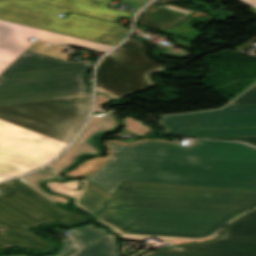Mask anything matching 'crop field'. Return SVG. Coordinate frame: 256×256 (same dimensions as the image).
<instances>
[{"instance_id":"d9b57169","label":"crop field","mask_w":256,"mask_h":256,"mask_svg":"<svg viewBox=\"0 0 256 256\" xmlns=\"http://www.w3.org/2000/svg\"><path fill=\"white\" fill-rule=\"evenodd\" d=\"M193 20L194 19L189 18L183 25L161 32L194 42L196 38L203 33L192 28L191 23Z\"/></svg>"},{"instance_id":"730fd06b","label":"crop field","mask_w":256,"mask_h":256,"mask_svg":"<svg viewBox=\"0 0 256 256\" xmlns=\"http://www.w3.org/2000/svg\"><path fill=\"white\" fill-rule=\"evenodd\" d=\"M212 238H208V239H204V240H200V241H174L172 242L173 244L177 245V244H180V243H190V242H205L207 240H210Z\"/></svg>"},{"instance_id":"cbeb9de0","label":"crop field","mask_w":256,"mask_h":256,"mask_svg":"<svg viewBox=\"0 0 256 256\" xmlns=\"http://www.w3.org/2000/svg\"><path fill=\"white\" fill-rule=\"evenodd\" d=\"M114 236L108 234L74 256H119Z\"/></svg>"},{"instance_id":"00972430","label":"crop field","mask_w":256,"mask_h":256,"mask_svg":"<svg viewBox=\"0 0 256 256\" xmlns=\"http://www.w3.org/2000/svg\"><path fill=\"white\" fill-rule=\"evenodd\" d=\"M62 186L65 188V189H69V190H75L78 188V183L77 181H74V182H67V183H61Z\"/></svg>"},{"instance_id":"5142ce71","label":"crop field","mask_w":256,"mask_h":256,"mask_svg":"<svg viewBox=\"0 0 256 256\" xmlns=\"http://www.w3.org/2000/svg\"><path fill=\"white\" fill-rule=\"evenodd\" d=\"M74 231L77 236L75 235L76 237L72 239L81 249L107 234L103 229H97L92 225L85 228L74 229Z\"/></svg>"},{"instance_id":"eef30255","label":"crop field","mask_w":256,"mask_h":256,"mask_svg":"<svg viewBox=\"0 0 256 256\" xmlns=\"http://www.w3.org/2000/svg\"><path fill=\"white\" fill-rule=\"evenodd\" d=\"M168 1H174V0H156L153 3H163V2H168Z\"/></svg>"},{"instance_id":"733c2abd","label":"crop field","mask_w":256,"mask_h":256,"mask_svg":"<svg viewBox=\"0 0 256 256\" xmlns=\"http://www.w3.org/2000/svg\"><path fill=\"white\" fill-rule=\"evenodd\" d=\"M244 94V93H243ZM256 104V85L230 105Z\"/></svg>"},{"instance_id":"e52e79f7","label":"crop field","mask_w":256,"mask_h":256,"mask_svg":"<svg viewBox=\"0 0 256 256\" xmlns=\"http://www.w3.org/2000/svg\"><path fill=\"white\" fill-rule=\"evenodd\" d=\"M158 123L180 137L256 136V105L166 116Z\"/></svg>"},{"instance_id":"ac0d7876","label":"crop field","mask_w":256,"mask_h":256,"mask_svg":"<svg viewBox=\"0 0 256 256\" xmlns=\"http://www.w3.org/2000/svg\"><path fill=\"white\" fill-rule=\"evenodd\" d=\"M111 148L112 158L87 180L112 196L125 181L256 190V149L244 144L146 141Z\"/></svg>"},{"instance_id":"22f410ed","label":"crop field","mask_w":256,"mask_h":256,"mask_svg":"<svg viewBox=\"0 0 256 256\" xmlns=\"http://www.w3.org/2000/svg\"><path fill=\"white\" fill-rule=\"evenodd\" d=\"M145 140H149V139H144L135 143H130V144H136V143H141ZM154 141H161V140H154ZM109 142L114 143V144H119V145H130V144H125L122 141H106V144L108 146V155L104 158H97V159H92L89 162L83 163L81 164L77 169H75L74 171L68 172L66 173L67 177H82V178H87L88 176H90L92 173H94L96 170H98L100 167H102L104 164L107 163V161L110 159V157L112 156L111 153V149H110V145ZM167 142V141H165Z\"/></svg>"},{"instance_id":"d8731c3e","label":"crop field","mask_w":256,"mask_h":256,"mask_svg":"<svg viewBox=\"0 0 256 256\" xmlns=\"http://www.w3.org/2000/svg\"><path fill=\"white\" fill-rule=\"evenodd\" d=\"M160 68L145 56L143 45L130 39L104 58L97 73V85L122 95L149 86L144 75Z\"/></svg>"},{"instance_id":"f4fd0767","label":"crop field","mask_w":256,"mask_h":256,"mask_svg":"<svg viewBox=\"0 0 256 256\" xmlns=\"http://www.w3.org/2000/svg\"><path fill=\"white\" fill-rule=\"evenodd\" d=\"M58 179L50 173L37 172L0 184L5 194L0 196V250L11 246H23L33 250H46V240L26 231L20 226L37 227L44 223L59 221L66 225L83 221L77 214L60 210L56 201L67 203L65 198L42 191L39 182ZM2 232L4 234H2Z\"/></svg>"},{"instance_id":"412701ff","label":"crop field","mask_w":256,"mask_h":256,"mask_svg":"<svg viewBox=\"0 0 256 256\" xmlns=\"http://www.w3.org/2000/svg\"><path fill=\"white\" fill-rule=\"evenodd\" d=\"M36 41L1 75L0 104L88 93L90 61H66L63 47Z\"/></svg>"},{"instance_id":"4177f3b9","label":"crop field","mask_w":256,"mask_h":256,"mask_svg":"<svg viewBox=\"0 0 256 256\" xmlns=\"http://www.w3.org/2000/svg\"><path fill=\"white\" fill-rule=\"evenodd\" d=\"M97 92L105 93V94H107L108 96H110V97L113 98V99L122 98V96L117 97V96H115V95H113V94L107 92L106 90L102 89V88L99 87V86H97Z\"/></svg>"},{"instance_id":"3316defc","label":"crop field","mask_w":256,"mask_h":256,"mask_svg":"<svg viewBox=\"0 0 256 256\" xmlns=\"http://www.w3.org/2000/svg\"><path fill=\"white\" fill-rule=\"evenodd\" d=\"M28 37L55 44H73L107 52L113 46L93 43L25 25L0 20V73L30 44Z\"/></svg>"},{"instance_id":"34b2d1b8","label":"crop field","mask_w":256,"mask_h":256,"mask_svg":"<svg viewBox=\"0 0 256 256\" xmlns=\"http://www.w3.org/2000/svg\"><path fill=\"white\" fill-rule=\"evenodd\" d=\"M90 106L91 93L0 105V181L58 156L82 129Z\"/></svg>"},{"instance_id":"4a817a6b","label":"crop field","mask_w":256,"mask_h":256,"mask_svg":"<svg viewBox=\"0 0 256 256\" xmlns=\"http://www.w3.org/2000/svg\"><path fill=\"white\" fill-rule=\"evenodd\" d=\"M62 242L64 243V247L58 256H71L79 251V248L71 241L70 238Z\"/></svg>"},{"instance_id":"8a807250","label":"crop field","mask_w":256,"mask_h":256,"mask_svg":"<svg viewBox=\"0 0 256 256\" xmlns=\"http://www.w3.org/2000/svg\"><path fill=\"white\" fill-rule=\"evenodd\" d=\"M81 181L84 186L78 191L64 190L60 183L48 185L76 198V205L126 240L200 239L256 207V191L125 182L114 198Z\"/></svg>"},{"instance_id":"28ad6ade","label":"crop field","mask_w":256,"mask_h":256,"mask_svg":"<svg viewBox=\"0 0 256 256\" xmlns=\"http://www.w3.org/2000/svg\"><path fill=\"white\" fill-rule=\"evenodd\" d=\"M116 122L111 113L91 117L88 126L81 134L84 137L82 140H77L71 149L64 154L58 161L51 164L48 168L52 169V172L43 170L44 172H50L63 180L60 174L63 168L69 167L75 160V158L81 153L97 154V150L94 149L87 141L97 132L109 131L116 127Z\"/></svg>"},{"instance_id":"92a150f3","label":"crop field","mask_w":256,"mask_h":256,"mask_svg":"<svg viewBox=\"0 0 256 256\" xmlns=\"http://www.w3.org/2000/svg\"><path fill=\"white\" fill-rule=\"evenodd\" d=\"M121 4L127 2L137 12L150 0H119Z\"/></svg>"},{"instance_id":"d1516ede","label":"crop field","mask_w":256,"mask_h":256,"mask_svg":"<svg viewBox=\"0 0 256 256\" xmlns=\"http://www.w3.org/2000/svg\"><path fill=\"white\" fill-rule=\"evenodd\" d=\"M189 19V18H188ZM187 17L176 15L153 7H146L138 16L136 23L161 31L184 23Z\"/></svg>"},{"instance_id":"214f88e0","label":"crop field","mask_w":256,"mask_h":256,"mask_svg":"<svg viewBox=\"0 0 256 256\" xmlns=\"http://www.w3.org/2000/svg\"><path fill=\"white\" fill-rule=\"evenodd\" d=\"M113 99H111L110 97H108L105 94H100V93H96V101H95V108L94 111H98L100 113L102 112H106L104 109L100 108L102 105L108 103L109 101H111Z\"/></svg>"},{"instance_id":"bc2a9ffb","label":"crop field","mask_w":256,"mask_h":256,"mask_svg":"<svg viewBox=\"0 0 256 256\" xmlns=\"http://www.w3.org/2000/svg\"><path fill=\"white\" fill-rule=\"evenodd\" d=\"M204 139L240 141L242 143L249 144L256 147V137H215V138H204Z\"/></svg>"},{"instance_id":"5a996713","label":"crop field","mask_w":256,"mask_h":256,"mask_svg":"<svg viewBox=\"0 0 256 256\" xmlns=\"http://www.w3.org/2000/svg\"><path fill=\"white\" fill-rule=\"evenodd\" d=\"M144 256H256V210L238 219L219 239L187 244Z\"/></svg>"},{"instance_id":"a9b5d70f","label":"crop field","mask_w":256,"mask_h":256,"mask_svg":"<svg viewBox=\"0 0 256 256\" xmlns=\"http://www.w3.org/2000/svg\"><path fill=\"white\" fill-rule=\"evenodd\" d=\"M161 69H162V68L157 69V70H154V71H151V72H149L148 74L145 75V78H146L147 82L151 85V86L146 87V88H150V87H153V86H154V84L149 80V77H148L149 74H150V73H153V72H155V71L161 70ZM146 88H143V89H146ZM143 89H141V90H143ZM141 90H138V91H141ZM138 91L131 92V93H128V94H125V95H122V96L131 95V94L136 93V92H138Z\"/></svg>"},{"instance_id":"dd49c442","label":"crop field","mask_w":256,"mask_h":256,"mask_svg":"<svg viewBox=\"0 0 256 256\" xmlns=\"http://www.w3.org/2000/svg\"><path fill=\"white\" fill-rule=\"evenodd\" d=\"M112 0H0V19L102 43L108 30L128 35L120 25L74 14L65 19L58 13L72 12L115 23L134 14L106 8Z\"/></svg>"},{"instance_id":"dafd665d","label":"crop field","mask_w":256,"mask_h":256,"mask_svg":"<svg viewBox=\"0 0 256 256\" xmlns=\"http://www.w3.org/2000/svg\"><path fill=\"white\" fill-rule=\"evenodd\" d=\"M239 1L251 6L252 9L249 11L256 14V0H239Z\"/></svg>"}]
</instances>
